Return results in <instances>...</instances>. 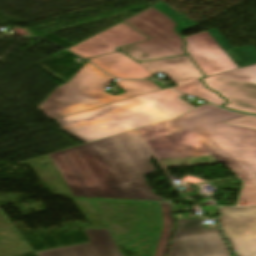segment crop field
Masks as SVG:
<instances>
[{
    "mask_svg": "<svg viewBox=\"0 0 256 256\" xmlns=\"http://www.w3.org/2000/svg\"><path fill=\"white\" fill-rule=\"evenodd\" d=\"M211 102H212L213 104L217 105V106H220V105L226 103V101H225L224 99H222V98L216 99V100L211 101Z\"/></svg>",
    "mask_w": 256,
    "mask_h": 256,
    "instance_id": "dafd665d",
    "label": "crop field"
},
{
    "mask_svg": "<svg viewBox=\"0 0 256 256\" xmlns=\"http://www.w3.org/2000/svg\"><path fill=\"white\" fill-rule=\"evenodd\" d=\"M185 95L164 89L54 119L61 129L84 143L178 117L195 106Z\"/></svg>",
    "mask_w": 256,
    "mask_h": 256,
    "instance_id": "34b2d1b8",
    "label": "crop field"
},
{
    "mask_svg": "<svg viewBox=\"0 0 256 256\" xmlns=\"http://www.w3.org/2000/svg\"><path fill=\"white\" fill-rule=\"evenodd\" d=\"M152 74L161 72L176 84H184L202 78L187 56L140 63Z\"/></svg>",
    "mask_w": 256,
    "mask_h": 256,
    "instance_id": "d1516ede",
    "label": "crop field"
},
{
    "mask_svg": "<svg viewBox=\"0 0 256 256\" xmlns=\"http://www.w3.org/2000/svg\"><path fill=\"white\" fill-rule=\"evenodd\" d=\"M243 116L205 104L162 124L171 133L190 128L243 180L237 205L256 206V130L221 123Z\"/></svg>",
    "mask_w": 256,
    "mask_h": 256,
    "instance_id": "ac0d7876",
    "label": "crop field"
},
{
    "mask_svg": "<svg viewBox=\"0 0 256 256\" xmlns=\"http://www.w3.org/2000/svg\"><path fill=\"white\" fill-rule=\"evenodd\" d=\"M248 68L256 74V65L248 66ZM228 100L225 108L256 114V80L246 84L245 86L223 96Z\"/></svg>",
    "mask_w": 256,
    "mask_h": 256,
    "instance_id": "5142ce71",
    "label": "crop field"
},
{
    "mask_svg": "<svg viewBox=\"0 0 256 256\" xmlns=\"http://www.w3.org/2000/svg\"><path fill=\"white\" fill-rule=\"evenodd\" d=\"M155 7H157L159 10L167 14L169 17H171L174 21H176L179 24L178 27L176 28L179 34L197 25L162 1L155 4Z\"/></svg>",
    "mask_w": 256,
    "mask_h": 256,
    "instance_id": "bc2a9ffb",
    "label": "crop field"
},
{
    "mask_svg": "<svg viewBox=\"0 0 256 256\" xmlns=\"http://www.w3.org/2000/svg\"><path fill=\"white\" fill-rule=\"evenodd\" d=\"M188 54L231 48L217 28L185 37Z\"/></svg>",
    "mask_w": 256,
    "mask_h": 256,
    "instance_id": "d9b57169",
    "label": "crop field"
},
{
    "mask_svg": "<svg viewBox=\"0 0 256 256\" xmlns=\"http://www.w3.org/2000/svg\"><path fill=\"white\" fill-rule=\"evenodd\" d=\"M154 210L157 220L158 229L153 237L152 247L149 256H160L161 249L165 240L168 220L166 214V207L164 203L153 202Z\"/></svg>",
    "mask_w": 256,
    "mask_h": 256,
    "instance_id": "733c2abd",
    "label": "crop field"
},
{
    "mask_svg": "<svg viewBox=\"0 0 256 256\" xmlns=\"http://www.w3.org/2000/svg\"><path fill=\"white\" fill-rule=\"evenodd\" d=\"M218 222L235 256H256V207H222Z\"/></svg>",
    "mask_w": 256,
    "mask_h": 256,
    "instance_id": "d8731c3e",
    "label": "crop field"
},
{
    "mask_svg": "<svg viewBox=\"0 0 256 256\" xmlns=\"http://www.w3.org/2000/svg\"><path fill=\"white\" fill-rule=\"evenodd\" d=\"M143 40L147 38L122 22L69 50L88 59Z\"/></svg>",
    "mask_w": 256,
    "mask_h": 256,
    "instance_id": "5a996713",
    "label": "crop field"
},
{
    "mask_svg": "<svg viewBox=\"0 0 256 256\" xmlns=\"http://www.w3.org/2000/svg\"><path fill=\"white\" fill-rule=\"evenodd\" d=\"M256 79L247 67L202 79L207 87L221 96Z\"/></svg>",
    "mask_w": 256,
    "mask_h": 256,
    "instance_id": "cbeb9de0",
    "label": "crop field"
},
{
    "mask_svg": "<svg viewBox=\"0 0 256 256\" xmlns=\"http://www.w3.org/2000/svg\"><path fill=\"white\" fill-rule=\"evenodd\" d=\"M74 196L163 200L144 175L153 156L137 129L49 154Z\"/></svg>",
    "mask_w": 256,
    "mask_h": 256,
    "instance_id": "8a807250",
    "label": "crop field"
},
{
    "mask_svg": "<svg viewBox=\"0 0 256 256\" xmlns=\"http://www.w3.org/2000/svg\"><path fill=\"white\" fill-rule=\"evenodd\" d=\"M89 61L96 64L108 74L122 79H142L152 76L139 63L120 52L89 59Z\"/></svg>",
    "mask_w": 256,
    "mask_h": 256,
    "instance_id": "22f410ed",
    "label": "crop field"
},
{
    "mask_svg": "<svg viewBox=\"0 0 256 256\" xmlns=\"http://www.w3.org/2000/svg\"><path fill=\"white\" fill-rule=\"evenodd\" d=\"M113 79L87 62L68 83L55 89L38 108L54 119L160 90L149 80H135L117 83L126 92L124 94L113 96L104 93V87Z\"/></svg>",
    "mask_w": 256,
    "mask_h": 256,
    "instance_id": "412701ff",
    "label": "crop field"
},
{
    "mask_svg": "<svg viewBox=\"0 0 256 256\" xmlns=\"http://www.w3.org/2000/svg\"><path fill=\"white\" fill-rule=\"evenodd\" d=\"M224 123L256 129V117H253V116H246L243 118L227 121Z\"/></svg>",
    "mask_w": 256,
    "mask_h": 256,
    "instance_id": "92a150f3",
    "label": "crop field"
},
{
    "mask_svg": "<svg viewBox=\"0 0 256 256\" xmlns=\"http://www.w3.org/2000/svg\"><path fill=\"white\" fill-rule=\"evenodd\" d=\"M163 15L152 8L124 21L150 40L118 49L137 61L184 55V43L173 30L176 24Z\"/></svg>",
    "mask_w": 256,
    "mask_h": 256,
    "instance_id": "dd49c442",
    "label": "crop field"
},
{
    "mask_svg": "<svg viewBox=\"0 0 256 256\" xmlns=\"http://www.w3.org/2000/svg\"><path fill=\"white\" fill-rule=\"evenodd\" d=\"M168 256H231L218 229H206L199 218L177 220Z\"/></svg>",
    "mask_w": 256,
    "mask_h": 256,
    "instance_id": "e52e79f7",
    "label": "crop field"
},
{
    "mask_svg": "<svg viewBox=\"0 0 256 256\" xmlns=\"http://www.w3.org/2000/svg\"><path fill=\"white\" fill-rule=\"evenodd\" d=\"M138 130L161 168L221 162L190 129L170 134L157 123Z\"/></svg>",
    "mask_w": 256,
    "mask_h": 256,
    "instance_id": "f4fd0767",
    "label": "crop field"
},
{
    "mask_svg": "<svg viewBox=\"0 0 256 256\" xmlns=\"http://www.w3.org/2000/svg\"><path fill=\"white\" fill-rule=\"evenodd\" d=\"M166 207H167V213H168L169 228H168V232H167V236H166V240H165V243L163 246L161 256H165L167 246H168V243H169V240H170V237L172 234L173 226H174L172 206H171V204H166Z\"/></svg>",
    "mask_w": 256,
    "mask_h": 256,
    "instance_id": "214f88e0",
    "label": "crop field"
},
{
    "mask_svg": "<svg viewBox=\"0 0 256 256\" xmlns=\"http://www.w3.org/2000/svg\"><path fill=\"white\" fill-rule=\"evenodd\" d=\"M206 77L256 63L254 46L189 55Z\"/></svg>",
    "mask_w": 256,
    "mask_h": 256,
    "instance_id": "3316defc",
    "label": "crop field"
},
{
    "mask_svg": "<svg viewBox=\"0 0 256 256\" xmlns=\"http://www.w3.org/2000/svg\"><path fill=\"white\" fill-rule=\"evenodd\" d=\"M90 243L38 252V256H122L108 229L84 230Z\"/></svg>",
    "mask_w": 256,
    "mask_h": 256,
    "instance_id": "28ad6ade",
    "label": "crop field"
},
{
    "mask_svg": "<svg viewBox=\"0 0 256 256\" xmlns=\"http://www.w3.org/2000/svg\"><path fill=\"white\" fill-rule=\"evenodd\" d=\"M173 88L178 92L200 97L208 101L219 98V96L206 89L200 80Z\"/></svg>",
    "mask_w": 256,
    "mask_h": 256,
    "instance_id": "4a817a6b",
    "label": "crop field"
}]
</instances>
